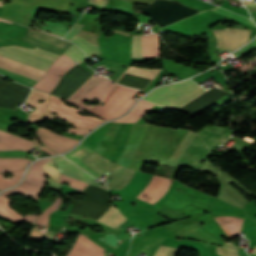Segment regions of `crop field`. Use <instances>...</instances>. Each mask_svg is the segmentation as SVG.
<instances>
[{
  "instance_id": "crop-field-1",
  "label": "crop field",
  "mask_w": 256,
  "mask_h": 256,
  "mask_svg": "<svg viewBox=\"0 0 256 256\" xmlns=\"http://www.w3.org/2000/svg\"><path fill=\"white\" fill-rule=\"evenodd\" d=\"M27 29L29 33L23 39L38 48L61 55L72 45V43L68 41L32 30L30 28ZM38 48L31 50L19 46L0 47V55L46 72L48 67L53 63V61L57 57H59V55ZM2 56H0L1 60L39 73L43 76L45 74V72L23 65L13 60L4 58Z\"/></svg>"
},
{
  "instance_id": "crop-field-2",
  "label": "crop field",
  "mask_w": 256,
  "mask_h": 256,
  "mask_svg": "<svg viewBox=\"0 0 256 256\" xmlns=\"http://www.w3.org/2000/svg\"><path fill=\"white\" fill-rule=\"evenodd\" d=\"M190 80L158 88L145 99L161 106L178 109L205 91Z\"/></svg>"
},
{
  "instance_id": "crop-field-3",
  "label": "crop field",
  "mask_w": 256,
  "mask_h": 256,
  "mask_svg": "<svg viewBox=\"0 0 256 256\" xmlns=\"http://www.w3.org/2000/svg\"><path fill=\"white\" fill-rule=\"evenodd\" d=\"M48 108L57 112L63 117L69 119L70 121L74 122L75 127H81L92 130L105 121L91 116H81L78 114V112H82V109L78 110L72 106L69 107L65 105L60 99L52 95L50 97Z\"/></svg>"
},
{
  "instance_id": "crop-field-4",
  "label": "crop field",
  "mask_w": 256,
  "mask_h": 256,
  "mask_svg": "<svg viewBox=\"0 0 256 256\" xmlns=\"http://www.w3.org/2000/svg\"><path fill=\"white\" fill-rule=\"evenodd\" d=\"M75 65L76 63L63 54L54 62L46 76L42 80L40 79L41 81L33 86V88L50 93L60 79L58 75H63Z\"/></svg>"
},
{
  "instance_id": "crop-field-5",
  "label": "crop field",
  "mask_w": 256,
  "mask_h": 256,
  "mask_svg": "<svg viewBox=\"0 0 256 256\" xmlns=\"http://www.w3.org/2000/svg\"><path fill=\"white\" fill-rule=\"evenodd\" d=\"M214 33L218 38V46L220 49H230V51H234L242 44L248 42L250 31L243 29H231L214 30Z\"/></svg>"
},
{
  "instance_id": "crop-field-6",
  "label": "crop field",
  "mask_w": 256,
  "mask_h": 256,
  "mask_svg": "<svg viewBox=\"0 0 256 256\" xmlns=\"http://www.w3.org/2000/svg\"><path fill=\"white\" fill-rule=\"evenodd\" d=\"M39 139L46 144L50 149L63 153L73 146H75L78 140L70 139L65 136H61L49 129L40 127L37 131Z\"/></svg>"
},
{
  "instance_id": "crop-field-7",
  "label": "crop field",
  "mask_w": 256,
  "mask_h": 256,
  "mask_svg": "<svg viewBox=\"0 0 256 256\" xmlns=\"http://www.w3.org/2000/svg\"><path fill=\"white\" fill-rule=\"evenodd\" d=\"M144 57H161L158 35L142 36ZM141 36H133L132 57H143Z\"/></svg>"
},
{
  "instance_id": "crop-field-8",
  "label": "crop field",
  "mask_w": 256,
  "mask_h": 256,
  "mask_svg": "<svg viewBox=\"0 0 256 256\" xmlns=\"http://www.w3.org/2000/svg\"><path fill=\"white\" fill-rule=\"evenodd\" d=\"M34 143L17 137L15 135L6 133L0 130V151L8 150H27L30 151L34 147Z\"/></svg>"
},
{
  "instance_id": "crop-field-9",
  "label": "crop field",
  "mask_w": 256,
  "mask_h": 256,
  "mask_svg": "<svg viewBox=\"0 0 256 256\" xmlns=\"http://www.w3.org/2000/svg\"><path fill=\"white\" fill-rule=\"evenodd\" d=\"M48 94L36 91L32 89V92L26 103L36 107L37 109L31 112L28 116L29 121L40 123L44 120L45 110L48 101ZM39 99L46 100L41 104L36 103Z\"/></svg>"
},
{
  "instance_id": "crop-field-10",
  "label": "crop field",
  "mask_w": 256,
  "mask_h": 256,
  "mask_svg": "<svg viewBox=\"0 0 256 256\" xmlns=\"http://www.w3.org/2000/svg\"><path fill=\"white\" fill-rule=\"evenodd\" d=\"M93 153L92 150L86 148L83 145H79L75 150H73L71 153L65 155L68 159H70L72 162H74L76 165H78L80 168L85 170L86 172L90 173L94 177L98 178L100 177L98 174H96L92 169H90L82 160L86 158L88 155Z\"/></svg>"
},
{
  "instance_id": "crop-field-11",
  "label": "crop field",
  "mask_w": 256,
  "mask_h": 256,
  "mask_svg": "<svg viewBox=\"0 0 256 256\" xmlns=\"http://www.w3.org/2000/svg\"><path fill=\"white\" fill-rule=\"evenodd\" d=\"M48 160H50V158L42 159V160L36 162L35 164H33L28 171L25 181H27L33 185L43 187V185L45 183L46 175L41 166L44 163H46Z\"/></svg>"
},
{
  "instance_id": "crop-field-12",
  "label": "crop field",
  "mask_w": 256,
  "mask_h": 256,
  "mask_svg": "<svg viewBox=\"0 0 256 256\" xmlns=\"http://www.w3.org/2000/svg\"><path fill=\"white\" fill-rule=\"evenodd\" d=\"M151 177L152 175L150 174L136 172L132 181L123 189V191L136 197L149 183Z\"/></svg>"
},
{
  "instance_id": "crop-field-13",
  "label": "crop field",
  "mask_w": 256,
  "mask_h": 256,
  "mask_svg": "<svg viewBox=\"0 0 256 256\" xmlns=\"http://www.w3.org/2000/svg\"><path fill=\"white\" fill-rule=\"evenodd\" d=\"M29 162L26 158H0V173L24 169Z\"/></svg>"
},
{
  "instance_id": "crop-field-14",
  "label": "crop field",
  "mask_w": 256,
  "mask_h": 256,
  "mask_svg": "<svg viewBox=\"0 0 256 256\" xmlns=\"http://www.w3.org/2000/svg\"><path fill=\"white\" fill-rule=\"evenodd\" d=\"M40 191H41V188H38L36 186H33V185L23 181V183L21 185H19L18 187L11 189L9 191L3 192L1 194L3 195L2 197H4V198H6L5 196H7V195L23 194V195H26L28 197L38 200L37 197H38ZM7 200H9V199H7Z\"/></svg>"
},
{
  "instance_id": "crop-field-15",
  "label": "crop field",
  "mask_w": 256,
  "mask_h": 256,
  "mask_svg": "<svg viewBox=\"0 0 256 256\" xmlns=\"http://www.w3.org/2000/svg\"><path fill=\"white\" fill-rule=\"evenodd\" d=\"M161 71V69H147V68H140V67H133L129 66L123 74L115 81L116 83L120 80V78L125 74H130L148 81H152L154 77ZM149 82V83H150ZM148 83V84H149ZM148 86V85H147ZM146 86V87H147ZM145 87V88H146Z\"/></svg>"
},
{
  "instance_id": "crop-field-16",
  "label": "crop field",
  "mask_w": 256,
  "mask_h": 256,
  "mask_svg": "<svg viewBox=\"0 0 256 256\" xmlns=\"http://www.w3.org/2000/svg\"><path fill=\"white\" fill-rule=\"evenodd\" d=\"M126 218L119 212L118 209L111 206L110 210L105 213L97 221L103 222L113 228L118 227Z\"/></svg>"
},
{
  "instance_id": "crop-field-17",
  "label": "crop field",
  "mask_w": 256,
  "mask_h": 256,
  "mask_svg": "<svg viewBox=\"0 0 256 256\" xmlns=\"http://www.w3.org/2000/svg\"><path fill=\"white\" fill-rule=\"evenodd\" d=\"M54 162L74 173H77L83 177H86L90 180H95L94 178H92L90 175H88L86 172H84L82 169H80L79 167H77L76 165H74L72 162H70L69 160H67L66 158L59 156V157H54L53 158Z\"/></svg>"
},
{
  "instance_id": "crop-field-18",
  "label": "crop field",
  "mask_w": 256,
  "mask_h": 256,
  "mask_svg": "<svg viewBox=\"0 0 256 256\" xmlns=\"http://www.w3.org/2000/svg\"><path fill=\"white\" fill-rule=\"evenodd\" d=\"M71 42L79 45L87 55L100 53L98 46L82 39L77 35L71 40Z\"/></svg>"
},
{
  "instance_id": "crop-field-19",
  "label": "crop field",
  "mask_w": 256,
  "mask_h": 256,
  "mask_svg": "<svg viewBox=\"0 0 256 256\" xmlns=\"http://www.w3.org/2000/svg\"><path fill=\"white\" fill-rule=\"evenodd\" d=\"M147 127L148 125L134 123L126 144H131L140 141Z\"/></svg>"
},
{
  "instance_id": "crop-field-20",
  "label": "crop field",
  "mask_w": 256,
  "mask_h": 256,
  "mask_svg": "<svg viewBox=\"0 0 256 256\" xmlns=\"http://www.w3.org/2000/svg\"><path fill=\"white\" fill-rule=\"evenodd\" d=\"M36 22H40V20H36ZM45 22V24H47L46 26H43V25H41L40 24V26H42V28H40V29H43V30H45V31H47V30H50V31H52V33H55V34H59V35H62V36H64L66 33H67V30H65V28H64V26H63V24H59V23H56V24H54V23H52V22H47V21H44ZM36 27V26H35ZM34 27V28H35ZM37 28H39V27H37ZM39 29V30H40ZM42 30V31H43ZM51 33V34H52ZM55 34H53V35H55ZM59 35H55V36H58V37H62V36H59Z\"/></svg>"
},
{
  "instance_id": "crop-field-21",
  "label": "crop field",
  "mask_w": 256,
  "mask_h": 256,
  "mask_svg": "<svg viewBox=\"0 0 256 256\" xmlns=\"http://www.w3.org/2000/svg\"><path fill=\"white\" fill-rule=\"evenodd\" d=\"M64 54L71 58L77 64L85 60V55L83 51L74 45L70 49H68Z\"/></svg>"
},
{
  "instance_id": "crop-field-22",
  "label": "crop field",
  "mask_w": 256,
  "mask_h": 256,
  "mask_svg": "<svg viewBox=\"0 0 256 256\" xmlns=\"http://www.w3.org/2000/svg\"><path fill=\"white\" fill-rule=\"evenodd\" d=\"M211 11L219 13V14L224 15L226 17H229V18H232L234 20H237V21H240V22H243V23H246L248 25L256 27L252 20L244 18V17L239 16L237 14L231 13L229 11L223 10L221 8L214 9V10H211Z\"/></svg>"
},
{
  "instance_id": "crop-field-23",
  "label": "crop field",
  "mask_w": 256,
  "mask_h": 256,
  "mask_svg": "<svg viewBox=\"0 0 256 256\" xmlns=\"http://www.w3.org/2000/svg\"><path fill=\"white\" fill-rule=\"evenodd\" d=\"M23 172H24V170L23 171L14 172L13 173L14 174V178H13L12 181H10L8 179L5 180L3 178V176H2V174H0V191L2 189H4V188H7L9 186H12V185L18 183L20 178H21V176H22V174H23Z\"/></svg>"
},
{
  "instance_id": "crop-field-24",
  "label": "crop field",
  "mask_w": 256,
  "mask_h": 256,
  "mask_svg": "<svg viewBox=\"0 0 256 256\" xmlns=\"http://www.w3.org/2000/svg\"><path fill=\"white\" fill-rule=\"evenodd\" d=\"M59 183H63V182H67L69 183V186L70 187H73V188H76V189H81L83 190L88 184L87 183H84L82 181H77V180H73V179H70L64 175H61L59 181Z\"/></svg>"
},
{
  "instance_id": "crop-field-25",
  "label": "crop field",
  "mask_w": 256,
  "mask_h": 256,
  "mask_svg": "<svg viewBox=\"0 0 256 256\" xmlns=\"http://www.w3.org/2000/svg\"><path fill=\"white\" fill-rule=\"evenodd\" d=\"M178 251V248L160 245L154 256H175Z\"/></svg>"
},
{
  "instance_id": "crop-field-26",
  "label": "crop field",
  "mask_w": 256,
  "mask_h": 256,
  "mask_svg": "<svg viewBox=\"0 0 256 256\" xmlns=\"http://www.w3.org/2000/svg\"><path fill=\"white\" fill-rule=\"evenodd\" d=\"M255 49H256V39L254 41H252L250 44L241 48L234 55L240 58V57L244 56L245 54H247L248 52L255 50Z\"/></svg>"
},
{
  "instance_id": "crop-field-27",
  "label": "crop field",
  "mask_w": 256,
  "mask_h": 256,
  "mask_svg": "<svg viewBox=\"0 0 256 256\" xmlns=\"http://www.w3.org/2000/svg\"><path fill=\"white\" fill-rule=\"evenodd\" d=\"M82 27H83L82 24L76 23L73 26V28L70 30V32L64 37V39L70 41L76 34L79 33Z\"/></svg>"
},
{
  "instance_id": "crop-field-28",
  "label": "crop field",
  "mask_w": 256,
  "mask_h": 256,
  "mask_svg": "<svg viewBox=\"0 0 256 256\" xmlns=\"http://www.w3.org/2000/svg\"><path fill=\"white\" fill-rule=\"evenodd\" d=\"M120 124L117 123H113V125L111 126V128L109 129V131L106 133V135L104 136V139L110 140L112 141L115 133L117 132L118 128H119Z\"/></svg>"
},
{
  "instance_id": "crop-field-29",
  "label": "crop field",
  "mask_w": 256,
  "mask_h": 256,
  "mask_svg": "<svg viewBox=\"0 0 256 256\" xmlns=\"http://www.w3.org/2000/svg\"><path fill=\"white\" fill-rule=\"evenodd\" d=\"M217 254L221 255V256H239L235 253H232V252H230L228 250H225V249H223L221 247H218V246H217Z\"/></svg>"
},
{
  "instance_id": "crop-field-30",
  "label": "crop field",
  "mask_w": 256,
  "mask_h": 256,
  "mask_svg": "<svg viewBox=\"0 0 256 256\" xmlns=\"http://www.w3.org/2000/svg\"><path fill=\"white\" fill-rule=\"evenodd\" d=\"M88 2L105 8L106 4L108 3V0H88Z\"/></svg>"
},
{
  "instance_id": "crop-field-31",
  "label": "crop field",
  "mask_w": 256,
  "mask_h": 256,
  "mask_svg": "<svg viewBox=\"0 0 256 256\" xmlns=\"http://www.w3.org/2000/svg\"><path fill=\"white\" fill-rule=\"evenodd\" d=\"M47 183H49L51 185L50 188H52V189H58V190L61 189V185L51 179H48Z\"/></svg>"
},
{
  "instance_id": "crop-field-32",
  "label": "crop field",
  "mask_w": 256,
  "mask_h": 256,
  "mask_svg": "<svg viewBox=\"0 0 256 256\" xmlns=\"http://www.w3.org/2000/svg\"><path fill=\"white\" fill-rule=\"evenodd\" d=\"M223 247L237 253V248L235 246L225 243Z\"/></svg>"
},
{
  "instance_id": "crop-field-33",
  "label": "crop field",
  "mask_w": 256,
  "mask_h": 256,
  "mask_svg": "<svg viewBox=\"0 0 256 256\" xmlns=\"http://www.w3.org/2000/svg\"><path fill=\"white\" fill-rule=\"evenodd\" d=\"M41 149H43L44 151H46L47 153L51 154V155H57V153L49 150L48 148H46L45 146L39 147Z\"/></svg>"
},
{
  "instance_id": "crop-field-34",
  "label": "crop field",
  "mask_w": 256,
  "mask_h": 256,
  "mask_svg": "<svg viewBox=\"0 0 256 256\" xmlns=\"http://www.w3.org/2000/svg\"><path fill=\"white\" fill-rule=\"evenodd\" d=\"M114 32H116V33H122V34H125V35H127V36L130 35V34H127V33H125V32L118 31V30H114Z\"/></svg>"
},
{
  "instance_id": "crop-field-35",
  "label": "crop field",
  "mask_w": 256,
  "mask_h": 256,
  "mask_svg": "<svg viewBox=\"0 0 256 256\" xmlns=\"http://www.w3.org/2000/svg\"><path fill=\"white\" fill-rule=\"evenodd\" d=\"M33 138H34V140H35V145H36V147H37V146H39V144H38V141H37L36 137L34 136Z\"/></svg>"
},
{
  "instance_id": "crop-field-36",
  "label": "crop field",
  "mask_w": 256,
  "mask_h": 256,
  "mask_svg": "<svg viewBox=\"0 0 256 256\" xmlns=\"http://www.w3.org/2000/svg\"><path fill=\"white\" fill-rule=\"evenodd\" d=\"M0 21H4V22H7V23H11V24H12L11 21H7V20H4V19H0Z\"/></svg>"
},
{
  "instance_id": "crop-field-37",
  "label": "crop field",
  "mask_w": 256,
  "mask_h": 256,
  "mask_svg": "<svg viewBox=\"0 0 256 256\" xmlns=\"http://www.w3.org/2000/svg\"><path fill=\"white\" fill-rule=\"evenodd\" d=\"M253 253H255L256 254V246H255V248H254V252Z\"/></svg>"
},
{
  "instance_id": "crop-field-38",
  "label": "crop field",
  "mask_w": 256,
  "mask_h": 256,
  "mask_svg": "<svg viewBox=\"0 0 256 256\" xmlns=\"http://www.w3.org/2000/svg\"><path fill=\"white\" fill-rule=\"evenodd\" d=\"M2 4H3V3H2V2H0V7L2 6Z\"/></svg>"
}]
</instances>
